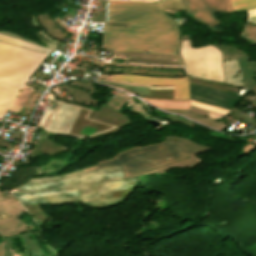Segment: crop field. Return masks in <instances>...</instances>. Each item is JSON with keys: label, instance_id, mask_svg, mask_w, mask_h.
<instances>
[{"label": "crop field", "instance_id": "crop-field-1", "mask_svg": "<svg viewBox=\"0 0 256 256\" xmlns=\"http://www.w3.org/2000/svg\"><path fill=\"white\" fill-rule=\"evenodd\" d=\"M110 1V22H129V27L104 26L102 45L114 50L177 54L180 32L176 22L158 4Z\"/></svg>", "mask_w": 256, "mask_h": 256}, {"label": "crop field", "instance_id": "crop-field-2", "mask_svg": "<svg viewBox=\"0 0 256 256\" xmlns=\"http://www.w3.org/2000/svg\"><path fill=\"white\" fill-rule=\"evenodd\" d=\"M0 41L45 53L0 42V82L22 89L25 81L50 50L2 35Z\"/></svg>", "mask_w": 256, "mask_h": 256}, {"label": "crop field", "instance_id": "crop-field-3", "mask_svg": "<svg viewBox=\"0 0 256 256\" xmlns=\"http://www.w3.org/2000/svg\"><path fill=\"white\" fill-rule=\"evenodd\" d=\"M189 156L177 145L161 143L116 156L115 161L99 164L101 168L121 165L125 177L140 174L176 162Z\"/></svg>", "mask_w": 256, "mask_h": 256}, {"label": "crop field", "instance_id": "crop-field-4", "mask_svg": "<svg viewBox=\"0 0 256 256\" xmlns=\"http://www.w3.org/2000/svg\"><path fill=\"white\" fill-rule=\"evenodd\" d=\"M180 53L183 57L187 74L224 82L221 55L215 47L208 45L192 49L188 41H183Z\"/></svg>", "mask_w": 256, "mask_h": 256}, {"label": "crop field", "instance_id": "crop-field-5", "mask_svg": "<svg viewBox=\"0 0 256 256\" xmlns=\"http://www.w3.org/2000/svg\"><path fill=\"white\" fill-rule=\"evenodd\" d=\"M112 79L146 84H175L174 99H189L186 77L181 78H155L128 74H114Z\"/></svg>", "mask_w": 256, "mask_h": 256}, {"label": "crop field", "instance_id": "crop-field-6", "mask_svg": "<svg viewBox=\"0 0 256 256\" xmlns=\"http://www.w3.org/2000/svg\"><path fill=\"white\" fill-rule=\"evenodd\" d=\"M192 14L204 21L216 20L213 11L231 12L230 0H188Z\"/></svg>", "mask_w": 256, "mask_h": 256}, {"label": "crop field", "instance_id": "crop-field-7", "mask_svg": "<svg viewBox=\"0 0 256 256\" xmlns=\"http://www.w3.org/2000/svg\"><path fill=\"white\" fill-rule=\"evenodd\" d=\"M19 89L12 88L3 84H0V116L6 113L7 110L18 113L21 106L12 104L14 99L19 93Z\"/></svg>", "mask_w": 256, "mask_h": 256}, {"label": "crop field", "instance_id": "crop-field-8", "mask_svg": "<svg viewBox=\"0 0 256 256\" xmlns=\"http://www.w3.org/2000/svg\"><path fill=\"white\" fill-rule=\"evenodd\" d=\"M161 6L163 10L168 12L183 10L181 0H163Z\"/></svg>", "mask_w": 256, "mask_h": 256}, {"label": "crop field", "instance_id": "crop-field-9", "mask_svg": "<svg viewBox=\"0 0 256 256\" xmlns=\"http://www.w3.org/2000/svg\"><path fill=\"white\" fill-rule=\"evenodd\" d=\"M234 11L256 7V0H233Z\"/></svg>", "mask_w": 256, "mask_h": 256}, {"label": "crop field", "instance_id": "crop-field-10", "mask_svg": "<svg viewBox=\"0 0 256 256\" xmlns=\"http://www.w3.org/2000/svg\"><path fill=\"white\" fill-rule=\"evenodd\" d=\"M191 104L202 107V108H206V109H209V110H213V111H216V112H219V113H223V114H226L228 112L227 110H223V109H220V108H216V107L209 106V105L199 103V102H196V101H192V100H191Z\"/></svg>", "mask_w": 256, "mask_h": 256}, {"label": "crop field", "instance_id": "crop-field-11", "mask_svg": "<svg viewBox=\"0 0 256 256\" xmlns=\"http://www.w3.org/2000/svg\"><path fill=\"white\" fill-rule=\"evenodd\" d=\"M249 19L248 22H256V8L247 10Z\"/></svg>", "mask_w": 256, "mask_h": 256}, {"label": "crop field", "instance_id": "crop-field-12", "mask_svg": "<svg viewBox=\"0 0 256 256\" xmlns=\"http://www.w3.org/2000/svg\"><path fill=\"white\" fill-rule=\"evenodd\" d=\"M0 145L5 147H10L11 143L8 140L0 138Z\"/></svg>", "mask_w": 256, "mask_h": 256}, {"label": "crop field", "instance_id": "crop-field-13", "mask_svg": "<svg viewBox=\"0 0 256 256\" xmlns=\"http://www.w3.org/2000/svg\"><path fill=\"white\" fill-rule=\"evenodd\" d=\"M217 23H218L217 21H213V22H209L208 25L214 26V25H216Z\"/></svg>", "mask_w": 256, "mask_h": 256}, {"label": "crop field", "instance_id": "crop-field-14", "mask_svg": "<svg viewBox=\"0 0 256 256\" xmlns=\"http://www.w3.org/2000/svg\"><path fill=\"white\" fill-rule=\"evenodd\" d=\"M108 8H109V4H108Z\"/></svg>", "mask_w": 256, "mask_h": 256}]
</instances>
